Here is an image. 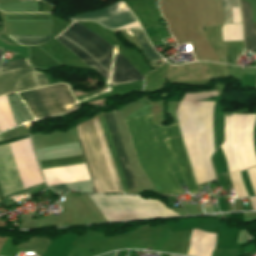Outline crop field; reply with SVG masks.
Masks as SVG:
<instances>
[{
    "label": "crop field",
    "instance_id": "obj_1",
    "mask_svg": "<svg viewBox=\"0 0 256 256\" xmlns=\"http://www.w3.org/2000/svg\"><path fill=\"white\" fill-rule=\"evenodd\" d=\"M138 163L159 194H181L173 174L181 173L189 193L199 189L192 177L177 124L160 127L151 115L124 120Z\"/></svg>",
    "mask_w": 256,
    "mask_h": 256
},
{
    "label": "crop field",
    "instance_id": "obj_2",
    "mask_svg": "<svg viewBox=\"0 0 256 256\" xmlns=\"http://www.w3.org/2000/svg\"><path fill=\"white\" fill-rule=\"evenodd\" d=\"M55 40L74 53L87 66H94L101 75L108 80L112 47L98 35L75 22L61 35L55 38ZM112 54L114 58V54H117V51L113 49ZM110 77L108 82L110 81ZM143 79L144 77L119 53L115 55L110 82L111 85L141 81Z\"/></svg>",
    "mask_w": 256,
    "mask_h": 256
},
{
    "label": "crop field",
    "instance_id": "obj_3",
    "mask_svg": "<svg viewBox=\"0 0 256 256\" xmlns=\"http://www.w3.org/2000/svg\"><path fill=\"white\" fill-rule=\"evenodd\" d=\"M75 127L96 192L122 193L98 116L79 121Z\"/></svg>",
    "mask_w": 256,
    "mask_h": 256
},
{
    "label": "crop field",
    "instance_id": "obj_4",
    "mask_svg": "<svg viewBox=\"0 0 256 256\" xmlns=\"http://www.w3.org/2000/svg\"><path fill=\"white\" fill-rule=\"evenodd\" d=\"M23 189L42 183L30 139L9 143ZM8 144L0 146V188L7 195L22 187Z\"/></svg>",
    "mask_w": 256,
    "mask_h": 256
},
{
    "label": "crop field",
    "instance_id": "obj_5",
    "mask_svg": "<svg viewBox=\"0 0 256 256\" xmlns=\"http://www.w3.org/2000/svg\"><path fill=\"white\" fill-rule=\"evenodd\" d=\"M107 222L177 216L161 201L141 196L88 195Z\"/></svg>",
    "mask_w": 256,
    "mask_h": 256
},
{
    "label": "crop field",
    "instance_id": "obj_6",
    "mask_svg": "<svg viewBox=\"0 0 256 256\" xmlns=\"http://www.w3.org/2000/svg\"><path fill=\"white\" fill-rule=\"evenodd\" d=\"M24 100L37 121L43 120L48 116H57L70 113L76 110L79 103L72 105L73 108L65 109L62 105L74 103L68 86L56 84L43 88L18 93Z\"/></svg>",
    "mask_w": 256,
    "mask_h": 256
},
{
    "label": "crop field",
    "instance_id": "obj_7",
    "mask_svg": "<svg viewBox=\"0 0 256 256\" xmlns=\"http://www.w3.org/2000/svg\"><path fill=\"white\" fill-rule=\"evenodd\" d=\"M104 115H105L109 130H110V133H111V136H112V139H113V142H114V145H115V148H116V151H117V154H118V157H119V160H120V163H121V166H122V169H123V172H124L127 184H128V187H129V190L130 191L136 190L137 187H136V184H135L132 172H131V168H130V165H129V162H128L120 135H119V131H118L113 113H108V114H104ZM104 115L100 114L98 116H99L100 122L102 124V127L105 130V133H106V136L108 139V143H109V146H110L113 158H114V162H115V165H116V168L118 171V175H119V178H120V181L122 184L123 191L126 192L129 190H128V187H127V184H126V181H125V178H124V175H123V172H122V169H121V166H120V163H119V160H118V157H117V154H116V151H115V148H114V145H113L106 121H105V118H104Z\"/></svg>",
    "mask_w": 256,
    "mask_h": 256
},
{
    "label": "crop field",
    "instance_id": "obj_8",
    "mask_svg": "<svg viewBox=\"0 0 256 256\" xmlns=\"http://www.w3.org/2000/svg\"><path fill=\"white\" fill-rule=\"evenodd\" d=\"M41 73L32 66L0 73V96L48 85Z\"/></svg>",
    "mask_w": 256,
    "mask_h": 256
},
{
    "label": "crop field",
    "instance_id": "obj_9",
    "mask_svg": "<svg viewBox=\"0 0 256 256\" xmlns=\"http://www.w3.org/2000/svg\"><path fill=\"white\" fill-rule=\"evenodd\" d=\"M124 10V4L120 1V9ZM74 20H95L107 28H113L122 23L134 19L130 11L117 13L116 3L95 12L79 14L72 17Z\"/></svg>",
    "mask_w": 256,
    "mask_h": 256
},
{
    "label": "crop field",
    "instance_id": "obj_10",
    "mask_svg": "<svg viewBox=\"0 0 256 256\" xmlns=\"http://www.w3.org/2000/svg\"><path fill=\"white\" fill-rule=\"evenodd\" d=\"M216 242V234L198 229L192 230L190 245L186 255L211 256Z\"/></svg>",
    "mask_w": 256,
    "mask_h": 256
},
{
    "label": "crop field",
    "instance_id": "obj_11",
    "mask_svg": "<svg viewBox=\"0 0 256 256\" xmlns=\"http://www.w3.org/2000/svg\"><path fill=\"white\" fill-rule=\"evenodd\" d=\"M243 28H244V40L246 51L256 49V30L252 24L250 5L239 0Z\"/></svg>",
    "mask_w": 256,
    "mask_h": 256
},
{
    "label": "crop field",
    "instance_id": "obj_12",
    "mask_svg": "<svg viewBox=\"0 0 256 256\" xmlns=\"http://www.w3.org/2000/svg\"><path fill=\"white\" fill-rule=\"evenodd\" d=\"M42 169L85 163L82 155L39 161Z\"/></svg>",
    "mask_w": 256,
    "mask_h": 256
},
{
    "label": "crop field",
    "instance_id": "obj_13",
    "mask_svg": "<svg viewBox=\"0 0 256 256\" xmlns=\"http://www.w3.org/2000/svg\"><path fill=\"white\" fill-rule=\"evenodd\" d=\"M22 46L42 45L50 40V35H8Z\"/></svg>",
    "mask_w": 256,
    "mask_h": 256
},
{
    "label": "crop field",
    "instance_id": "obj_14",
    "mask_svg": "<svg viewBox=\"0 0 256 256\" xmlns=\"http://www.w3.org/2000/svg\"><path fill=\"white\" fill-rule=\"evenodd\" d=\"M132 33L134 34L136 40L138 41L139 45L145 52V54L148 56L150 61L153 63L161 60L160 57L156 54V52L153 50L151 45L148 43L144 33L142 30L138 28L131 29Z\"/></svg>",
    "mask_w": 256,
    "mask_h": 256
},
{
    "label": "crop field",
    "instance_id": "obj_15",
    "mask_svg": "<svg viewBox=\"0 0 256 256\" xmlns=\"http://www.w3.org/2000/svg\"><path fill=\"white\" fill-rule=\"evenodd\" d=\"M15 126L10 109L6 100V97H0V131H4L8 128ZM2 137L0 135V142H2Z\"/></svg>",
    "mask_w": 256,
    "mask_h": 256
},
{
    "label": "crop field",
    "instance_id": "obj_16",
    "mask_svg": "<svg viewBox=\"0 0 256 256\" xmlns=\"http://www.w3.org/2000/svg\"><path fill=\"white\" fill-rule=\"evenodd\" d=\"M223 9V20L224 23H231V10L230 7H235L237 5V0H221Z\"/></svg>",
    "mask_w": 256,
    "mask_h": 256
},
{
    "label": "crop field",
    "instance_id": "obj_17",
    "mask_svg": "<svg viewBox=\"0 0 256 256\" xmlns=\"http://www.w3.org/2000/svg\"><path fill=\"white\" fill-rule=\"evenodd\" d=\"M29 65L30 64L28 63L27 58L20 59V60L2 64L0 67V72L12 70V69H16V68H21V67H25V66H29Z\"/></svg>",
    "mask_w": 256,
    "mask_h": 256
},
{
    "label": "crop field",
    "instance_id": "obj_18",
    "mask_svg": "<svg viewBox=\"0 0 256 256\" xmlns=\"http://www.w3.org/2000/svg\"><path fill=\"white\" fill-rule=\"evenodd\" d=\"M50 188L53 189L59 195L69 190L65 184L50 186Z\"/></svg>",
    "mask_w": 256,
    "mask_h": 256
},
{
    "label": "crop field",
    "instance_id": "obj_19",
    "mask_svg": "<svg viewBox=\"0 0 256 256\" xmlns=\"http://www.w3.org/2000/svg\"><path fill=\"white\" fill-rule=\"evenodd\" d=\"M2 51L3 49L0 48V62H1Z\"/></svg>",
    "mask_w": 256,
    "mask_h": 256
},
{
    "label": "crop field",
    "instance_id": "obj_20",
    "mask_svg": "<svg viewBox=\"0 0 256 256\" xmlns=\"http://www.w3.org/2000/svg\"><path fill=\"white\" fill-rule=\"evenodd\" d=\"M21 1H35V0H21Z\"/></svg>",
    "mask_w": 256,
    "mask_h": 256
},
{
    "label": "crop field",
    "instance_id": "obj_21",
    "mask_svg": "<svg viewBox=\"0 0 256 256\" xmlns=\"http://www.w3.org/2000/svg\"><path fill=\"white\" fill-rule=\"evenodd\" d=\"M170 256H175V255H170Z\"/></svg>",
    "mask_w": 256,
    "mask_h": 256
}]
</instances>
